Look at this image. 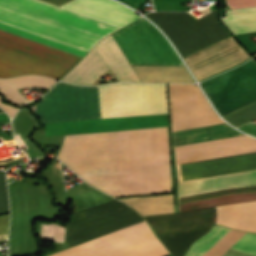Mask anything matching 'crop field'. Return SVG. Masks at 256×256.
Here are the masks:
<instances>
[{
    "mask_svg": "<svg viewBox=\"0 0 256 256\" xmlns=\"http://www.w3.org/2000/svg\"><path fill=\"white\" fill-rule=\"evenodd\" d=\"M170 256V255H169Z\"/></svg>",
    "mask_w": 256,
    "mask_h": 256,
    "instance_id": "4177f3b9",
    "label": "crop field"
},
{
    "mask_svg": "<svg viewBox=\"0 0 256 256\" xmlns=\"http://www.w3.org/2000/svg\"><path fill=\"white\" fill-rule=\"evenodd\" d=\"M220 115L256 98V62L202 84Z\"/></svg>",
    "mask_w": 256,
    "mask_h": 256,
    "instance_id": "5a996713",
    "label": "crop field"
},
{
    "mask_svg": "<svg viewBox=\"0 0 256 256\" xmlns=\"http://www.w3.org/2000/svg\"><path fill=\"white\" fill-rule=\"evenodd\" d=\"M242 135L226 123L171 132L172 146Z\"/></svg>",
    "mask_w": 256,
    "mask_h": 256,
    "instance_id": "cbeb9de0",
    "label": "crop field"
},
{
    "mask_svg": "<svg viewBox=\"0 0 256 256\" xmlns=\"http://www.w3.org/2000/svg\"><path fill=\"white\" fill-rule=\"evenodd\" d=\"M0 22L88 52L118 30L114 26L42 2L0 0ZM0 23V31L81 59L86 53ZM0 32V77L41 74L60 79L79 60Z\"/></svg>",
    "mask_w": 256,
    "mask_h": 256,
    "instance_id": "8a807250",
    "label": "crop field"
},
{
    "mask_svg": "<svg viewBox=\"0 0 256 256\" xmlns=\"http://www.w3.org/2000/svg\"><path fill=\"white\" fill-rule=\"evenodd\" d=\"M112 37L130 64L183 65L168 41L142 17Z\"/></svg>",
    "mask_w": 256,
    "mask_h": 256,
    "instance_id": "e52e79f7",
    "label": "crop field"
},
{
    "mask_svg": "<svg viewBox=\"0 0 256 256\" xmlns=\"http://www.w3.org/2000/svg\"><path fill=\"white\" fill-rule=\"evenodd\" d=\"M245 233L215 225L191 245L185 256H219ZM230 249L256 256V233L247 232ZM250 255L227 249L221 256Z\"/></svg>",
    "mask_w": 256,
    "mask_h": 256,
    "instance_id": "28ad6ade",
    "label": "crop field"
},
{
    "mask_svg": "<svg viewBox=\"0 0 256 256\" xmlns=\"http://www.w3.org/2000/svg\"><path fill=\"white\" fill-rule=\"evenodd\" d=\"M142 215L175 212L172 195L121 199Z\"/></svg>",
    "mask_w": 256,
    "mask_h": 256,
    "instance_id": "d9b57169",
    "label": "crop field"
},
{
    "mask_svg": "<svg viewBox=\"0 0 256 256\" xmlns=\"http://www.w3.org/2000/svg\"><path fill=\"white\" fill-rule=\"evenodd\" d=\"M171 131L222 123L194 85L168 84Z\"/></svg>",
    "mask_w": 256,
    "mask_h": 256,
    "instance_id": "3316defc",
    "label": "crop field"
},
{
    "mask_svg": "<svg viewBox=\"0 0 256 256\" xmlns=\"http://www.w3.org/2000/svg\"><path fill=\"white\" fill-rule=\"evenodd\" d=\"M251 58V57H250ZM235 67V66H234ZM233 68V67H232ZM214 76V75H213ZM209 78V77H208ZM206 79V78H205Z\"/></svg>",
    "mask_w": 256,
    "mask_h": 256,
    "instance_id": "a9b5d70f",
    "label": "crop field"
},
{
    "mask_svg": "<svg viewBox=\"0 0 256 256\" xmlns=\"http://www.w3.org/2000/svg\"><path fill=\"white\" fill-rule=\"evenodd\" d=\"M61 7L119 28L140 17L129 8L111 0H72Z\"/></svg>",
    "mask_w": 256,
    "mask_h": 256,
    "instance_id": "22f410ed",
    "label": "crop field"
},
{
    "mask_svg": "<svg viewBox=\"0 0 256 256\" xmlns=\"http://www.w3.org/2000/svg\"><path fill=\"white\" fill-rule=\"evenodd\" d=\"M172 40L181 56L229 36L216 20V11L194 20L189 13L154 12L147 15Z\"/></svg>",
    "mask_w": 256,
    "mask_h": 256,
    "instance_id": "dd49c442",
    "label": "crop field"
},
{
    "mask_svg": "<svg viewBox=\"0 0 256 256\" xmlns=\"http://www.w3.org/2000/svg\"><path fill=\"white\" fill-rule=\"evenodd\" d=\"M256 16V7L228 10V19ZM224 24L233 34L256 31V17L232 19L222 18Z\"/></svg>",
    "mask_w": 256,
    "mask_h": 256,
    "instance_id": "733c2abd",
    "label": "crop field"
},
{
    "mask_svg": "<svg viewBox=\"0 0 256 256\" xmlns=\"http://www.w3.org/2000/svg\"><path fill=\"white\" fill-rule=\"evenodd\" d=\"M141 82H194L185 66L132 65Z\"/></svg>",
    "mask_w": 256,
    "mask_h": 256,
    "instance_id": "5142ce71",
    "label": "crop field"
},
{
    "mask_svg": "<svg viewBox=\"0 0 256 256\" xmlns=\"http://www.w3.org/2000/svg\"><path fill=\"white\" fill-rule=\"evenodd\" d=\"M250 60H251V59H250ZM250 60H249V61H250ZM249 61H248V62H249ZM236 68H237V67H236ZM234 69H235V68H234ZM232 70H233V69H232ZM229 71H231V70H229ZM227 72H228V71H227ZM225 73H226V72H225ZM222 74H224V73H222ZM222 74H220V75H222ZM218 76H219V75H218ZM216 77H217V76H216ZM213 78H215V77H213ZM213 78H211V79H213ZM211 79H209V80H211ZM206 81H208V80H206ZM206 81H204V82H206ZM204 82H202V83H204ZM202 83H201V84H202Z\"/></svg>",
    "mask_w": 256,
    "mask_h": 256,
    "instance_id": "dafd665d",
    "label": "crop field"
},
{
    "mask_svg": "<svg viewBox=\"0 0 256 256\" xmlns=\"http://www.w3.org/2000/svg\"><path fill=\"white\" fill-rule=\"evenodd\" d=\"M168 251L146 222L49 256H164Z\"/></svg>",
    "mask_w": 256,
    "mask_h": 256,
    "instance_id": "f4fd0767",
    "label": "crop field"
},
{
    "mask_svg": "<svg viewBox=\"0 0 256 256\" xmlns=\"http://www.w3.org/2000/svg\"><path fill=\"white\" fill-rule=\"evenodd\" d=\"M115 141L118 196L170 191L166 127L115 131ZM56 157L117 196L114 131L64 136Z\"/></svg>",
    "mask_w": 256,
    "mask_h": 256,
    "instance_id": "ac0d7876",
    "label": "crop field"
},
{
    "mask_svg": "<svg viewBox=\"0 0 256 256\" xmlns=\"http://www.w3.org/2000/svg\"><path fill=\"white\" fill-rule=\"evenodd\" d=\"M237 37L242 46L253 56L256 54V44L254 41L250 40L245 34H240V35H234Z\"/></svg>",
    "mask_w": 256,
    "mask_h": 256,
    "instance_id": "bc2a9ffb",
    "label": "crop field"
},
{
    "mask_svg": "<svg viewBox=\"0 0 256 256\" xmlns=\"http://www.w3.org/2000/svg\"><path fill=\"white\" fill-rule=\"evenodd\" d=\"M222 116L235 127L252 121L256 119V99Z\"/></svg>",
    "mask_w": 256,
    "mask_h": 256,
    "instance_id": "4a817a6b",
    "label": "crop field"
},
{
    "mask_svg": "<svg viewBox=\"0 0 256 256\" xmlns=\"http://www.w3.org/2000/svg\"><path fill=\"white\" fill-rule=\"evenodd\" d=\"M135 9H137L141 4H143L146 0H119Z\"/></svg>",
    "mask_w": 256,
    "mask_h": 256,
    "instance_id": "92a150f3",
    "label": "crop field"
},
{
    "mask_svg": "<svg viewBox=\"0 0 256 256\" xmlns=\"http://www.w3.org/2000/svg\"><path fill=\"white\" fill-rule=\"evenodd\" d=\"M254 186H256V169L178 182V199ZM255 191L256 187L208 194L203 196L180 199L178 200V204L203 201ZM255 200L256 192L203 202L178 205V212ZM212 210L256 216V201L212 208ZM212 210H210V212L213 223L222 224L229 228L256 232V217ZM210 212L208 209H205L181 213L148 215L144 216V218L151 226L154 233L156 235H160L211 228L213 223ZM207 231H209V229L160 235L157 237L171 252L172 256H183L187 248L192 244V242L205 234Z\"/></svg>",
    "mask_w": 256,
    "mask_h": 256,
    "instance_id": "34b2d1b8",
    "label": "crop field"
},
{
    "mask_svg": "<svg viewBox=\"0 0 256 256\" xmlns=\"http://www.w3.org/2000/svg\"><path fill=\"white\" fill-rule=\"evenodd\" d=\"M248 57L244 50L229 36L183 59L198 81L228 69Z\"/></svg>",
    "mask_w": 256,
    "mask_h": 256,
    "instance_id": "d1516ede",
    "label": "crop field"
},
{
    "mask_svg": "<svg viewBox=\"0 0 256 256\" xmlns=\"http://www.w3.org/2000/svg\"><path fill=\"white\" fill-rule=\"evenodd\" d=\"M9 214L0 216V235L8 233ZM8 234L0 236V241L7 239Z\"/></svg>",
    "mask_w": 256,
    "mask_h": 256,
    "instance_id": "214f88e0",
    "label": "crop field"
},
{
    "mask_svg": "<svg viewBox=\"0 0 256 256\" xmlns=\"http://www.w3.org/2000/svg\"><path fill=\"white\" fill-rule=\"evenodd\" d=\"M101 118L168 112L165 84L121 83L99 86ZM98 87L59 82L41 97V123L100 118Z\"/></svg>",
    "mask_w": 256,
    "mask_h": 256,
    "instance_id": "412701ff",
    "label": "crop field"
},
{
    "mask_svg": "<svg viewBox=\"0 0 256 256\" xmlns=\"http://www.w3.org/2000/svg\"><path fill=\"white\" fill-rule=\"evenodd\" d=\"M111 67L118 82L138 81L131 65L122 55L111 35L99 42L61 80L79 85H91L102 73Z\"/></svg>",
    "mask_w": 256,
    "mask_h": 256,
    "instance_id": "d8731c3e",
    "label": "crop field"
},
{
    "mask_svg": "<svg viewBox=\"0 0 256 256\" xmlns=\"http://www.w3.org/2000/svg\"><path fill=\"white\" fill-rule=\"evenodd\" d=\"M0 112H3V111L0 109Z\"/></svg>",
    "mask_w": 256,
    "mask_h": 256,
    "instance_id": "00972430",
    "label": "crop field"
}]
</instances>
